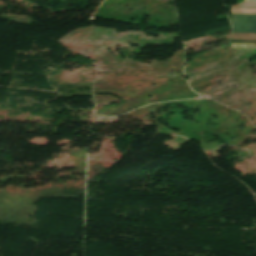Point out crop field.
Segmentation results:
<instances>
[{
  "label": "crop field",
  "mask_w": 256,
  "mask_h": 256,
  "mask_svg": "<svg viewBox=\"0 0 256 256\" xmlns=\"http://www.w3.org/2000/svg\"><path fill=\"white\" fill-rule=\"evenodd\" d=\"M231 39L256 40V34H232Z\"/></svg>",
  "instance_id": "ac0d7876"
},
{
  "label": "crop field",
  "mask_w": 256,
  "mask_h": 256,
  "mask_svg": "<svg viewBox=\"0 0 256 256\" xmlns=\"http://www.w3.org/2000/svg\"><path fill=\"white\" fill-rule=\"evenodd\" d=\"M231 7H256V2H241Z\"/></svg>",
  "instance_id": "412701ff"
},
{
  "label": "crop field",
  "mask_w": 256,
  "mask_h": 256,
  "mask_svg": "<svg viewBox=\"0 0 256 256\" xmlns=\"http://www.w3.org/2000/svg\"><path fill=\"white\" fill-rule=\"evenodd\" d=\"M231 13H250V14H256V9L231 8Z\"/></svg>",
  "instance_id": "34b2d1b8"
},
{
  "label": "crop field",
  "mask_w": 256,
  "mask_h": 256,
  "mask_svg": "<svg viewBox=\"0 0 256 256\" xmlns=\"http://www.w3.org/2000/svg\"><path fill=\"white\" fill-rule=\"evenodd\" d=\"M232 33H256V15L232 14Z\"/></svg>",
  "instance_id": "8a807250"
}]
</instances>
